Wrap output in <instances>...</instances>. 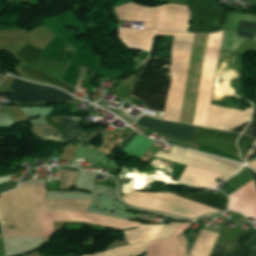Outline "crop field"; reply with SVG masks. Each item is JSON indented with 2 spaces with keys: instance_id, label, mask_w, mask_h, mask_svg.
Wrapping results in <instances>:
<instances>
[{
  "instance_id": "8a807250",
  "label": "crop field",
  "mask_w": 256,
  "mask_h": 256,
  "mask_svg": "<svg viewBox=\"0 0 256 256\" xmlns=\"http://www.w3.org/2000/svg\"><path fill=\"white\" fill-rule=\"evenodd\" d=\"M173 35L171 85L168 59L148 58L134 83L130 97L143 101L149 109L163 111V117L178 122L194 34L156 32Z\"/></svg>"
},
{
  "instance_id": "ac0d7876",
  "label": "crop field",
  "mask_w": 256,
  "mask_h": 256,
  "mask_svg": "<svg viewBox=\"0 0 256 256\" xmlns=\"http://www.w3.org/2000/svg\"><path fill=\"white\" fill-rule=\"evenodd\" d=\"M45 185H20L0 195L3 237H41L37 211H85L91 200H44Z\"/></svg>"
},
{
  "instance_id": "34b2d1b8",
  "label": "crop field",
  "mask_w": 256,
  "mask_h": 256,
  "mask_svg": "<svg viewBox=\"0 0 256 256\" xmlns=\"http://www.w3.org/2000/svg\"><path fill=\"white\" fill-rule=\"evenodd\" d=\"M123 201L135 207L172 214L184 218H195L200 215L217 211L169 193L135 192Z\"/></svg>"
},
{
  "instance_id": "412701ff",
  "label": "crop field",
  "mask_w": 256,
  "mask_h": 256,
  "mask_svg": "<svg viewBox=\"0 0 256 256\" xmlns=\"http://www.w3.org/2000/svg\"><path fill=\"white\" fill-rule=\"evenodd\" d=\"M191 21L188 32H214L220 28L225 9L212 0H190Z\"/></svg>"
},
{
  "instance_id": "f4fd0767",
  "label": "crop field",
  "mask_w": 256,
  "mask_h": 256,
  "mask_svg": "<svg viewBox=\"0 0 256 256\" xmlns=\"http://www.w3.org/2000/svg\"><path fill=\"white\" fill-rule=\"evenodd\" d=\"M8 94L16 103H27L46 100L72 101L73 98L55 88L31 84L17 78L13 79Z\"/></svg>"
},
{
  "instance_id": "dd49c442",
  "label": "crop field",
  "mask_w": 256,
  "mask_h": 256,
  "mask_svg": "<svg viewBox=\"0 0 256 256\" xmlns=\"http://www.w3.org/2000/svg\"><path fill=\"white\" fill-rule=\"evenodd\" d=\"M256 230L248 227L240 231L235 239L217 242L211 256H256Z\"/></svg>"
},
{
  "instance_id": "e52e79f7",
  "label": "crop field",
  "mask_w": 256,
  "mask_h": 256,
  "mask_svg": "<svg viewBox=\"0 0 256 256\" xmlns=\"http://www.w3.org/2000/svg\"><path fill=\"white\" fill-rule=\"evenodd\" d=\"M251 115L252 109H245L241 112L211 105L207 127L229 130L250 119Z\"/></svg>"
},
{
  "instance_id": "d8731c3e",
  "label": "crop field",
  "mask_w": 256,
  "mask_h": 256,
  "mask_svg": "<svg viewBox=\"0 0 256 256\" xmlns=\"http://www.w3.org/2000/svg\"><path fill=\"white\" fill-rule=\"evenodd\" d=\"M239 134L199 127L193 141L217 147L238 156L234 143ZM239 157V156H238Z\"/></svg>"
},
{
  "instance_id": "5a996713",
  "label": "crop field",
  "mask_w": 256,
  "mask_h": 256,
  "mask_svg": "<svg viewBox=\"0 0 256 256\" xmlns=\"http://www.w3.org/2000/svg\"><path fill=\"white\" fill-rule=\"evenodd\" d=\"M41 50L29 46L27 44H25L15 55L19 58V60L23 63L21 65V67L19 68V71L25 73V74H29L32 76H35L37 78H40L42 80H46L49 82H52L54 85L65 89L66 91H68L69 93H71V91L73 90V88L33 69L34 66L36 65L37 61L39 60L40 56H41Z\"/></svg>"
},
{
  "instance_id": "3316defc",
  "label": "crop field",
  "mask_w": 256,
  "mask_h": 256,
  "mask_svg": "<svg viewBox=\"0 0 256 256\" xmlns=\"http://www.w3.org/2000/svg\"><path fill=\"white\" fill-rule=\"evenodd\" d=\"M228 196L230 197L229 209L256 218V187L253 181Z\"/></svg>"
},
{
  "instance_id": "28ad6ade",
  "label": "crop field",
  "mask_w": 256,
  "mask_h": 256,
  "mask_svg": "<svg viewBox=\"0 0 256 256\" xmlns=\"http://www.w3.org/2000/svg\"><path fill=\"white\" fill-rule=\"evenodd\" d=\"M218 235L202 229L189 256H210ZM177 256H186V238L181 234L177 236Z\"/></svg>"
},
{
  "instance_id": "d1516ede",
  "label": "crop field",
  "mask_w": 256,
  "mask_h": 256,
  "mask_svg": "<svg viewBox=\"0 0 256 256\" xmlns=\"http://www.w3.org/2000/svg\"><path fill=\"white\" fill-rule=\"evenodd\" d=\"M137 123L160 132H164L176 137H180L186 140H191L193 135L195 134L198 127L178 124V123H171L165 121H159L147 117H140Z\"/></svg>"
},
{
  "instance_id": "22f410ed",
  "label": "crop field",
  "mask_w": 256,
  "mask_h": 256,
  "mask_svg": "<svg viewBox=\"0 0 256 256\" xmlns=\"http://www.w3.org/2000/svg\"><path fill=\"white\" fill-rule=\"evenodd\" d=\"M216 178L224 180L225 178H227V176H222L186 166L179 181L194 186L213 187L218 184L213 181Z\"/></svg>"
},
{
  "instance_id": "cbeb9de0",
  "label": "crop field",
  "mask_w": 256,
  "mask_h": 256,
  "mask_svg": "<svg viewBox=\"0 0 256 256\" xmlns=\"http://www.w3.org/2000/svg\"><path fill=\"white\" fill-rule=\"evenodd\" d=\"M58 117L62 121V123L65 125V127L68 129L69 132L80 130L79 125H80V122L82 119L71 118V117H62V116H58ZM43 131L47 138L72 141L76 137H78L84 133H98V132H105L106 130L104 128H97L94 130L77 132V133H63V132H55V131H48V130H43Z\"/></svg>"
},
{
  "instance_id": "5142ce71",
  "label": "crop field",
  "mask_w": 256,
  "mask_h": 256,
  "mask_svg": "<svg viewBox=\"0 0 256 256\" xmlns=\"http://www.w3.org/2000/svg\"><path fill=\"white\" fill-rule=\"evenodd\" d=\"M183 198L207 205L209 207L224 211L226 208L227 200L214 195L208 191H204L202 193H195V194H181V193H172Z\"/></svg>"
},
{
  "instance_id": "d9b57169",
  "label": "crop field",
  "mask_w": 256,
  "mask_h": 256,
  "mask_svg": "<svg viewBox=\"0 0 256 256\" xmlns=\"http://www.w3.org/2000/svg\"><path fill=\"white\" fill-rule=\"evenodd\" d=\"M146 256H176V236L148 242Z\"/></svg>"
},
{
  "instance_id": "733c2abd",
  "label": "crop field",
  "mask_w": 256,
  "mask_h": 256,
  "mask_svg": "<svg viewBox=\"0 0 256 256\" xmlns=\"http://www.w3.org/2000/svg\"><path fill=\"white\" fill-rule=\"evenodd\" d=\"M164 225H140L130 231L126 242L132 244L144 240L156 239Z\"/></svg>"
},
{
  "instance_id": "4a817a6b",
  "label": "crop field",
  "mask_w": 256,
  "mask_h": 256,
  "mask_svg": "<svg viewBox=\"0 0 256 256\" xmlns=\"http://www.w3.org/2000/svg\"><path fill=\"white\" fill-rule=\"evenodd\" d=\"M143 250H145V242L117 249L114 251L89 256H135L140 254Z\"/></svg>"
},
{
  "instance_id": "bc2a9ffb",
  "label": "crop field",
  "mask_w": 256,
  "mask_h": 256,
  "mask_svg": "<svg viewBox=\"0 0 256 256\" xmlns=\"http://www.w3.org/2000/svg\"><path fill=\"white\" fill-rule=\"evenodd\" d=\"M77 172L59 169V189H69L75 184Z\"/></svg>"
},
{
  "instance_id": "214f88e0",
  "label": "crop field",
  "mask_w": 256,
  "mask_h": 256,
  "mask_svg": "<svg viewBox=\"0 0 256 256\" xmlns=\"http://www.w3.org/2000/svg\"><path fill=\"white\" fill-rule=\"evenodd\" d=\"M243 40L234 33L224 32L222 49L234 50Z\"/></svg>"
},
{
  "instance_id": "92a150f3",
  "label": "crop field",
  "mask_w": 256,
  "mask_h": 256,
  "mask_svg": "<svg viewBox=\"0 0 256 256\" xmlns=\"http://www.w3.org/2000/svg\"><path fill=\"white\" fill-rule=\"evenodd\" d=\"M252 142H253V139L248 138L244 135H241V137L238 139L237 146L241 154V158L244 156V154L246 153L247 149L249 148Z\"/></svg>"
},
{
  "instance_id": "dafd665d",
  "label": "crop field",
  "mask_w": 256,
  "mask_h": 256,
  "mask_svg": "<svg viewBox=\"0 0 256 256\" xmlns=\"http://www.w3.org/2000/svg\"><path fill=\"white\" fill-rule=\"evenodd\" d=\"M177 225H178V223H173L171 225H165V227L163 228V230L161 231V233L159 234L157 239L172 236V234H173L174 230L176 229Z\"/></svg>"
},
{
  "instance_id": "00972430",
  "label": "crop field",
  "mask_w": 256,
  "mask_h": 256,
  "mask_svg": "<svg viewBox=\"0 0 256 256\" xmlns=\"http://www.w3.org/2000/svg\"><path fill=\"white\" fill-rule=\"evenodd\" d=\"M243 134L256 139V121H251L248 127L245 129Z\"/></svg>"
},
{
  "instance_id": "a9b5d70f",
  "label": "crop field",
  "mask_w": 256,
  "mask_h": 256,
  "mask_svg": "<svg viewBox=\"0 0 256 256\" xmlns=\"http://www.w3.org/2000/svg\"><path fill=\"white\" fill-rule=\"evenodd\" d=\"M238 29H249V30H255L256 31V23L241 21L239 26H238Z\"/></svg>"
},
{
  "instance_id": "4177f3b9",
  "label": "crop field",
  "mask_w": 256,
  "mask_h": 256,
  "mask_svg": "<svg viewBox=\"0 0 256 256\" xmlns=\"http://www.w3.org/2000/svg\"><path fill=\"white\" fill-rule=\"evenodd\" d=\"M137 133H133L132 135H130L123 143H121L118 148L119 150H123L125 148V146L133 139V137L136 135Z\"/></svg>"
},
{
  "instance_id": "730fd06b",
  "label": "crop field",
  "mask_w": 256,
  "mask_h": 256,
  "mask_svg": "<svg viewBox=\"0 0 256 256\" xmlns=\"http://www.w3.org/2000/svg\"><path fill=\"white\" fill-rule=\"evenodd\" d=\"M189 224H190V223H179V225H178V227H177V229L175 230V232H174L173 235H175V234H177V233H179V232H181V231H184V230L189 226Z\"/></svg>"
},
{
  "instance_id": "eef30255",
  "label": "crop field",
  "mask_w": 256,
  "mask_h": 256,
  "mask_svg": "<svg viewBox=\"0 0 256 256\" xmlns=\"http://www.w3.org/2000/svg\"><path fill=\"white\" fill-rule=\"evenodd\" d=\"M238 36H242V37H246L248 39H252L253 40V33H249V32H245V31H236Z\"/></svg>"
},
{
  "instance_id": "ae1a2a85",
  "label": "crop field",
  "mask_w": 256,
  "mask_h": 256,
  "mask_svg": "<svg viewBox=\"0 0 256 256\" xmlns=\"http://www.w3.org/2000/svg\"><path fill=\"white\" fill-rule=\"evenodd\" d=\"M252 152H253V150L249 148V150L247 151V153L245 154V156L243 157L242 160H244V161L247 162V161L249 160V158H250Z\"/></svg>"
},
{
  "instance_id": "d3111659",
  "label": "crop field",
  "mask_w": 256,
  "mask_h": 256,
  "mask_svg": "<svg viewBox=\"0 0 256 256\" xmlns=\"http://www.w3.org/2000/svg\"><path fill=\"white\" fill-rule=\"evenodd\" d=\"M246 124H247V123H245V124H243V125H241V126L235 128V129H233V130H230V131H235V132L241 133V131H242V130L244 129V127L246 126Z\"/></svg>"
},
{
  "instance_id": "750c4746",
  "label": "crop field",
  "mask_w": 256,
  "mask_h": 256,
  "mask_svg": "<svg viewBox=\"0 0 256 256\" xmlns=\"http://www.w3.org/2000/svg\"><path fill=\"white\" fill-rule=\"evenodd\" d=\"M251 167H253L254 169H256V161H253L249 164Z\"/></svg>"
},
{
  "instance_id": "bd1437ed",
  "label": "crop field",
  "mask_w": 256,
  "mask_h": 256,
  "mask_svg": "<svg viewBox=\"0 0 256 256\" xmlns=\"http://www.w3.org/2000/svg\"><path fill=\"white\" fill-rule=\"evenodd\" d=\"M254 173V176H255V178H256V173L255 172H253Z\"/></svg>"
},
{
  "instance_id": "1d83c4d3",
  "label": "crop field",
  "mask_w": 256,
  "mask_h": 256,
  "mask_svg": "<svg viewBox=\"0 0 256 256\" xmlns=\"http://www.w3.org/2000/svg\"><path fill=\"white\" fill-rule=\"evenodd\" d=\"M70 256H73V255H70Z\"/></svg>"
}]
</instances>
